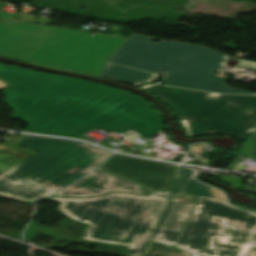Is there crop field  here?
<instances>
[{
  "label": "crop field",
  "mask_w": 256,
  "mask_h": 256,
  "mask_svg": "<svg viewBox=\"0 0 256 256\" xmlns=\"http://www.w3.org/2000/svg\"><path fill=\"white\" fill-rule=\"evenodd\" d=\"M141 88L172 108L185 137L224 133L244 138L256 128V96L204 93L157 84Z\"/></svg>",
  "instance_id": "obj_6"
},
{
  "label": "crop field",
  "mask_w": 256,
  "mask_h": 256,
  "mask_svg": "<svg viewBox=\"0 0 256 256\" xmlns=\"http://www.w3.org/2000/svg\"><path fill=\"white\" fill-rule=\"evenodd\" d=\"M250 138H252L254 140V146H253V149H252L250 155L256 157V131L253 133L252 136H250Z\"/></svg>",
  "instance_id": "obj_18"
},
{
  "label": "crop field",
  "mask_w": 256,
  "mask_h": 256,
  "mask_svg": "<svg viewBox=\"0 0 256 256\" xmlns=\"http://www.w3.org/2000/svg\"><path fill=\"white\" fill-rule=\"evenodd\" d=\"M99 170L137 182L151 190L166 189L173 181L172 165L119 155Z\"/></svg>",
  "instance_id": "obj_8"
},
{
  "label": "crop field",
  "mask_w": 256,
  "mask_h": 256,
  "mask_svg": "<svg viewBox=\"0 0 256 256\" xmlns=\"http://www.w3.org/2000/svg\"><path fill=\"white\" fill-rule=\"evenodd\" d=\"M253 253V252H252ZM252 255L256 256V253H253Z\"/></svg>",
  "instance_id": "obj_23"
},
{
  "label": "crop field",
  "mask_w": 256,
  "mask_h": 256,
  "mask_svg": "<svg viewBox=\"0 0 256 256\" xmlns=\"http://www.w3.org/2000/svg\"><path fill=\"white\" fill-rule=\"evenodd\" d=\"M237 66H239V67H244V68H248V69L256 70V67L249 66V65H245V64H241V63H239Z\"/></svg>",
  "instance_id": "obj_20"
},
{
  "label": "crop field",
  "mask_w": 256,
  "mask_h": 256,
  "mask_svg": "<svg viewBox=\"0 0 256 256\" xmlns=\"http://www.w3.org/2000/svg\"><path fill=\"white\" fill-rule=\"evenodd\" d=\"M0 79L11 84L5 101L13 117L29 123L28 132L79 138L98 127L148 138L162 127L146 101L122 90L3 64Z\"/></svg>",
  "instance_id": "obj_1"
},
{
  "label": "crop field",
  "mask_w": 256,
  "mask_h": 256,
  "mask_svg": "<svg viewBox=\"0 0 256 256\" xmlns=\"http://www.w3.org/2000/svg\"><path fill=\"white\" fill-rule=\"evenodd\" d=\"M178 197H180V198H187V199H194V200H198V199H199L198 197L186 195V194H184L182 191L180 192V194L178 195Z\"/></svg>",
  "instance_id": "obj_19"
},
{
  "label": "crop field",
  "mask_w": 256,
  "mask_h": 256,
  "mask_svg": "<svg viewBox=\"0 0 256 256\" xmlns=\"http://www.w3.org/2000/svg\"><path fill=\"white\" fill-rule=\"evenodd\" d=\"M184 191L186 193H191L196 196L208 197L226 202V199L221 191L210 186L204 185L193 179H191L190 183L188 184Z\"/></svg>",
  "instance_id": "obj_14"
},
{
  "label": "crop field",
  "mask_w": 256,
  "mask_h": 256,
  "mask_svg": "<svg viewBox=\"0 0 256 256\" xmlns=\"http://www.w3.org/2000/svg\"><path fill=\"white\" fill-rule=\"evenodd\" d=\"M142 256H188V253L149 241Z\"/></svg>",
  "instance_id": "obj_15"
},
{
  "label": "crop field",
  "mask_w": 256,
  "mask_h": 256,
  "mask_svg": "<svg viewBox=\"0 0 256 256\" xmlns=\"http://www.w3.org/2000/svg\"><path fill=\"white\" fill-rule=\"evenodd\" d=\"M192 150L190 151V154L192 155H196L198 156L197 158L190 160L186 163L189 164H196V165H202V166H206L209 164L208 160L204 157L203 155V147H206V144H197V145H193L191 146Z\"/></svg>",
  "instance_id": "obj_16"
},
{
  "label": "crop field",
  "mask_w": 256,
  "mask_h": 256,
  "mask_svg": "<svg viewBox=\"0 0 256 256\" xmlns=\"http://www.w3.org/2000/svg\"><path fill=\"white\" fill-rule=\"evenodd\" d=\"M252 146H253V140L250 139V140L244 141L243 150L239 153V155L245 156V157H250V158H255V157L248 156Z\"/></svg>",
  "instance_id": "obj_17"
},
{
  "label": "crop field",
  "mask_w": 256,
  "mask_h": 256,
  "mask_svg": "<svg viewBox=\"0 0 256 256\" xmlns=\"http://www.w3.org/2000/svg\"><path fill=\"white\" fill-rule=\"evenodd\" d=\"M194 173L192 170H188L181 167H174V177L175 181L170 187L168 191H156V193L165 195V196H171V197H177L179 192L183 189L186 182L189 180L191 175ZM188 183V182H187Z\"/></svg>",
  "instance_id": "obj_13"
},
{
  "label": "crop field",
  "mask_w": 256,
  "mask_h": 256,
  "mask_svg": "<svg viewBox=\"0 0 256 256\" xmlns=\"http://www.w3.org/2000/svg\"><path fill=\"white\" fill-rule=\"evenodd\" d=\"M0 20V55L100 76L125 38Z\"/></svg>",
  "instance_id": "obj_2"
},
{
  "label": "crop field",
  "mask_w": 256,
  "mask_h": 256,
  "mask_svg": "<svg viewBox=\"0 0 256 256\" xmlns=\"http://www.w3.org/2000/svg\"><path fill=\"white\" fill-rule=\"evenodd\" d=\"M240 62L256 66V62L253 61L240 60Z\"/></svg>",
  "instance_id": "obj_21"
},
{
  "label": "crop field",
  "mask_w": 256,
  "mask_h": 256,
  "mask_svg": "<svg viewBox=\"0 0 256 256\" xmlns=\"http://www.w3.org/2000/svg\"><path fill=\"white\" fill-rule=\"evenodd\" d=\"M152 40L154 38L131 34L108 61L165 74L167 85L227 94H256L229 87L226 81L210 77L229 56L202 46Z\"/></svg>",
  "instance_id": "obj_5"
},
{
  "label": "crop field",
  "mask_w": 256,
  "mask_h": 256,
  "mask_svg": "<svg viewBox=\"0 0 256 256\" xmlns=\"http://www.w3.org/2000/svg\"><path fill=\"white\" fill-rule=\"evenodd\" d=\"M256 246V215L201 198L177 247L191 256H245Z\"/></svg>",
  "instance_id": "obj_7"
},
{
  "label": "crop field",
  "mask_w": 256,
  "mask_h": 256,
  "mask_svg": "<svg viewBox=\"0 0 256 256\" xmlns=\"http://www.w3.org/2000/svg\"><path fill=\"white\" fill-rule=\"evenodd\" d=\"M139 188L140 186L135 183L95 170L54 196L89 197L112 191L148 195L146 192L138 191Z\"/></svg>",
  "instance_id": "obj_9"
},
{
  "label": "crop field",
  "mask_w": 256,
  "mask_h": 256,
  "mask_svg": "<svg viewBox=\"0 0 256 256\" xmlns=\"http://www.w3.org/2000/svg\"><path fill=\"white\" fill-rule=\"evenodd\" d=\"M190 179H191V178H190ZM189 181H190V180H189ZM189 181H188V183H189ZM188 183H187V184H188ZM187 184L185 185V187L187 186ZM185 187H184V189H185ZM184 189H183V190H184ZM183 192H184V191H183Z\"/></svg>",
  "instance_id": "obj_22"
},
{
  "label": "crop field",
  "mask_w": 256,
  "mask_h": 256,
  "mask_svg": "<svg viewBox=\"0 0 256 256\" xmlns=\"http://www.w3.org/2000/svg\"><path fill=\"white\" fill-rule=\"evenodd\" d=\"M196 201L172 198L151 240L173 247Z\"/></svg>",
  "instance_id": "obj_10"
},
{
  "label": "crop field",
  "mask_w": 256,
  "mask_h": 256,
  "mask_svg": "<svg viewBox=\"0 0 256 256\" xmlns=\"http://www.w3.org/2000/svg\"><path fill=\"white\" fill-rule=\"evenodd\" d=\"M19 145L39 152L0 175V195L26 201L68 186L111 155L76 142L27 135Z\"/></svg>",
  "instance_id": "obj_4"
},
{
  "label": "crop field",
  "mask_w": 256,
  "mask_h": 256,
  "mask_svg": "<svg viewBox=\"0 0 256 256\" xmlns=\"http://www.w3.org/2000/svg\"><path fill=\"white\" fill-rule=\"evenodd\" d=\"M60 212L89 224L82 239L130 246L126 255L141 256L170 199L108 194L93 199L56 198Z\"/></svg>",
  "instance_id": "obj_3"
},
{
  "label": "crop field",
  "mask_w": 256,
  "mask_h": 256,
  "mask_svg": "<svg viewBox=\"0 0 256 256\" xmlns=\"http://www.w3.org/2000/svg\"><path fill=\"white\" fill-rule=\"evenodd\" d=\"M101 76L136 86H138L140 83L150 82L158 77V75L129 69L109 63L106 64Z\"/></svg>",
  "instance_id": "obj_11"
},
{
  "label": "crop field",
  "mask_w": 256,
  "mask_h": 256,
  "mask_svg": "<svg viewBox=\"0 0 256 256\" xmlns=\"http://www.w3.org/2000/svg\"><path fill=\"white\" fill-rule=\"evenodd\" d=\"M35 153L37 151L4 142V144L0 145V173L12 168Z\"/></svg>",
  "instance_id": "obj_12"
}]
</instances>
